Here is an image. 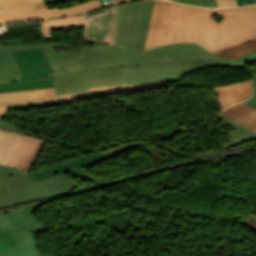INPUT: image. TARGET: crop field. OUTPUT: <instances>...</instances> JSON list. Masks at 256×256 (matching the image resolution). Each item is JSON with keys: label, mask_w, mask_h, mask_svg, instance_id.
Listing matches in <instances>:
<instances>
[{"label": "crop field", "mask_w": 256, "mask_h": 256, "mask_svg": "<svg viewBox=\"0 0 256 256\" xmlns=\"http://www.w3.org/2000/svg\"><path fill=\"white\" fill-rule=\"evenodd\" d=\"M182 42L233 59L256 51V5L206 9L155 0L145 50Z\"/></svg>", "instance_id": "1"}, {"label": "crop field", "mask_w": 256, "mask_h": 256, "mask_svg": "<svg viewBox=\"0 0 256 256\" xmlns=\"http://www.w3.org/2000/svg\"><path fill=\"white\" fill-rule=\"evenodd\" d=\"M87 71L75 72L52 80L57 94L86 91L88 87L127 83L126 66H136L150 59L208 53L195 43H182L152 50H136L95 43L80 47Z\"/></svg>", "instance_id": "2"}, {"label": "crop field", "mask_w": 256, "mask_h": 256, "mask_svg": "<svg viewBox=\"0 0 256 256\" xmlns=\"http://www.w3.org/2000/svg\"><path fill=\"white\" fill-rule=\"evenodd\" d=\"M72 191L59 176L33 182L17 169L0 165V208L11 207Z\"/></svg>", "instance_id": "3"}, {"label": "crop field", "mask_w": 256, "mask_h": 256, "mask_svg": "<svg viewBox=\"0 0 256 256\" xmlns=\"http://www.w3.org/2000/svg\"><path fill=\"white\" fill-rule=\"evenodd\" d=\"M66 46L64 43H35L12 46L0 45V60L8 78L21 76L11 51L41 48L52 72L50 76L57 77L75 71L85 70L80 49L58 51L54 47Z\"/></svg>", "instance_id": "4"}, {"label": "crop field", "mask_w": 256, "mask_h": 256, "mask_svg": "<svg viewBox=\"0 0 256 256\" xmlns=\"http://www.w3.org/2000/svg\"><path fill=\"white\" fill-rule=\"evenodd\" d=\"M154 0L119 5L115 45L144 50Z\"/></svg>", "instance_id": "5"}, {"label": "crop field", "mask_w": 256, "mask_h": 256, "mask_svg": "<svg viewBox=\"0 0 256 256\" xmlns=\"http://www.w3.org/2000/svg\"><path fill=\"white\" fill-rule=\"evenodd\" d=\"M41 205L0 216V229L11 234L19 243L0 256H41L36 234L47 230L31 214Z\"/></svg>", "instance_id": "6"}, {"label": "crop field", "mask_w": 256, "mask_h": 256, "mask_svg": "<svg viewBox=\"0 0 256 256\" xmlns=\"http://www.w3.org/2000/svg\"><path fill=\"white\" fill-rule=\"evenodd\" d=\"M198 69L200 66L196 55L155 59L136 67H127L128 83L167 80L172 84Z\"/></svg>", "instance_id": "7"}, {"label": "crop field", "mask_w": 256, "mask_h": 256, "mask_svg": "<svg viewBox=\"0 0 256 256\" xmlns=\"http://www.w3.org/2000/svg\"><path fill=\"white\" fill-rule=\"evenodd\" d=\"M23 75L9 79L10 84H0V92L20 91L53 87L48 72H51L40 49L13 52Z\"/></svg>", "instance_id": "8"}, {"label": "crop field", "mask_w": 256, "mask_h": 256, "mask_svg": "<svg viewBox=\"0 0 256 256\" xmlns=\"http://www.w3.org/2000/svg\"><path fill=\"white\" fill-rule=\"evenodd\" d=\"M118 5L86 14L84 39L114 45Z\"/></svg>", "instance_id": "9"}, {"label": "crop field", "mask_w": 256, "mask_h": 256, "mask_svg": "<svg viewBox=\"0 0 256 256\" xmlns=\"http://www.w3.org/2000/svg\"><path fill=\"white\" fill-rule=\"evenodd\" d=\"M106 158L103 157L99 152L93 153L87 156H80L78 158L72 159L65 163L44 169L38 170L34 172L28 173L30 179L34 181H39L42 179L49 178L55 174L63 173L69 170L72 174L80 177L81 179L93 181V182H100L96 180L91 174H89L84 167L90 166L94 163H99Z\"/></svg>", "instance_id": "10"}, {"label": "crop field", "mask_w": 256, "mask_h": 256, "mask_svg": "<svg viewBox=\"0 0 256 256\" xmlns=\"http://www.w3.org/2000/svg\"><path fill=\"white\" fill-rule=\"evenodd\" d=\"M103 7L99 0H93L90 2H86L77 6H73L67 9H41V10H33L30 11L28 6L12 8L5 10L10 14L17 15L21 18H25L27 21H36L43 19H51L62 16H69L84 13L87 11H91L95 8Z\"/></svg>", "instance_id": "11"}, {"label": "crop field", "mask_w": 256, "mask_h": 256, "mask_svg": "<svg viewBox=\"0 0 256 256\" xmlns=\"http://www.w3.org/2000/svg\"><path fill=\"white\" fill-rule=\"evenodd\" d=\"M58 99L54 88L0 93V117L6 115L7 111L5 106L7 105L36 103Z\"/></svg>", "instance_id": "12"}, {"label": "crop field", "mask_w": 256, "mask_h": 256, "mask_svg": "<svg viewBox=\"0 0 256 256\" xmlns=\"http://www.w3.org/2000/svg\"><path fill=\"white\" fill-rule=\"evenodd\" d=\"M43 141L42 139L23 135L7 165L29 172L36 160Z\"/></svg>", "instance_id": "13"}, {"label": "crop field", "mask_w": 256, "mask_h": 256, "mask_svg": "<svg viewBox=\"0 0 256 256\" xmlns=\"http://www.w3.org/2000/svg\"><path fill=\"white\" fill-rule=\"evenodd\" d=\"M167 85L166 81L163 82H155V83H146V84H132V85H123V86H107V87H95L89 88L90 91L86 92H78V93H71V94H63L59 95L61 103H67L87 97L93 96H101V95H108L113 93H120V92H128L134 90H141V89H148L154 87H160Z\"/></svg>", "instance_id": "14"}, {"label": "crop field", "mask_w": 256, "mask_h": 256, "mask_svg": "<svg viewBox=\"0 0 256 256\" xmlns=\"http://www.w3.org/2000/svg\"><path fill=\"white\" fill-rule=\"evenodd\" d=\"M247 104L242 101L220 112L256 133V110Z\"/></svg>", "instance_id": "15"}, {"label": "crop field", "mask_w": 256, "mask_h": 256, "mask_svg": "<svg viewBox=\"0 0 256 256\" xmlns=\"http://www.w3.org/2000/svg\"><path fill=\"white\" fill-rule=\"evenodd\" d=\"M201 68L208 66H222V67H242L246 63L256 61V52L250 53L238 60L218 57L209 54L197 55Z\"/></svg>", "instance_id": "16"}, {"label": "crop field", "mask_w": 256, "mask_h": 256, "mask_svg": "<svg viewBox=\"0 0 256 256\" xmlns=\"http://www.w3.org/2000/svg\"><path fill=\"white\" fill-rule=\"evenodd\" d=\"M85 14L50 21H41L42 34L52 36L51 29H71L84 26Z\"/></svg>", "instance_id": "17"}, {"label": "crop field", "mask_w": 256, "mask_h": 256, "mask_svg": "<svg viewBox=\"0 0 256 256\" xmlns=\"http://www.w3.org/2000/svg\"><path fill=\"white\" fill-rule=\"evenodd\" d=\"M216 116L223 121L222 126H225L228 124L235 129L234 131H231L229 133V137L231 138V141H229L226 144V147L230 146L232 144L256 139L255 133H253L252 131L248 130L247 128L241 126L240 124L234 122L233 120L229 119L228 117L224 116L223 114L217 112Z\"/></svg>", "instance_id": "18"}, {"label": "crop field", "mask_w": 256, "mask_h": 256, "mask_svg": "<svg viewBox=\"0 0 256 256\" xmlns=\"http://www.w3.org/2000/svg\"><path fill=\"white\" fill-rule=\"evenodd\" d=\"M22 135L0 130V164L6 165Z\"/></svg>", "instance_id": "19"}, {"label": "crop field", "mask_w": 256, "mask_h": 256, "mask_svg": "<svg viewBox=\"0 0 256 256\" xmlns=\"http://www.w3.org/2000/svg\"><path fill=\"white\" fill-rule=\"evenodd\" d=\"M29 5L30 9L47 8L44 0H0V7L3 9Z\"/></svg>", "instance_id": "20"}, {"label": "crop field", "mask_w": 256, "mask_h": 256, "mask_svg": "<svg viewBox=\"0 0 256 256\" xmlns=\"http://www.w3.org/2000/svg\"><path fill=\"white\" fill-rule=\"evenodd\" d=\"M232 86H233L237 103L252 96V91H253L252 80L240 82Z\"/></svg>", "instance_id": "21"}, {"label": "crop field", "mask_w": 256, "mask_h": 256, "mask_svg": "<svg viewBox=\"0 0 256 256\" xmlns=\"http://www.w3.org/2000/svg\"><path fill=\"white\" fill-rule=\"evenodd\" d=\"M215 89L218 94L222 109L236 103L231 85Z\"/></svg>", "instance_id": "22"}, {"label": "crop field", "mask_w": 256, "mask_h": 256, "mask_svg": "<svg viewBox=\"0 0 256 256\" xmlns=\"http://www.w3.org/2000/svg\"><path fill=\"white\" fill-rule=\"evenodd\" d=\"M18 243L12 236L0 230V254Z\"/></svg>", "instance_id": "23"}, {"label": "crop field", "mask_w": 256, "mask_h": 256, "mask_svg": "<svg viewBox=\"0 0 256 256\" xmlns=\"http://www.w3.org/2000/svg\"><path fill=\"white\" fill-rule=\"evenodd\" d=\"M171 1L186 3L190 5H195V6L211 7V8H214L215 6H217L216 0H171Z\"/></svg>", "instance_id": "24"}, {"label": "crop field", "mask_w": 256, "mask_h": 256, "mask_svg": "<svg viewBox=\"0 0 256 256\" xmlns=\"http://www.w3.org/2000/svg\"><path fill=\"white\" fill-rule=\"evenodd\" d=\"M139 144L135 143V144H131V145H126V146H120V147H115V148H111L109 150L106 151H102L100 152L102 155H104L107 159L115 156L123 151H127L130 148H134L137 147Z\"/></svg>", "instance_id": "25"}, {"label": "crop field", "mask_w": 256, "mask_h": 256, "mask_svg": "<svg viewBox=\"0 0 256 256\" xmlns=\"http://www.w3.org/2000/svg\"><path fill=\"white\" fill-rule=\"evenodd\" d=\"M19 22H25V20L9 15L7 13H4L0 9V24H12V23H19Z\"/></svg>", "instance_id": "26"}, {"label": "crop field", "mask_w": 256, "mask_h": 256, "mask_svg": "<svg viewBox=\"0 0 256 256\" xmlns=\"http://www.w3.org/2000/svg\"><path fill=\"white\" fill-rule=\"evenodd\" d=\"M55 104H60V102L59 101H50V102H43V103H37V104L8 106L7 110L40 107V106H48V105H55Z\"/></svg>", "instance_id": "27"}, {"label": "crop field", "mask_w": 256, "mask_h": 256, "mask_svg": "<svg viewBox=\"0 0 256 256\" xmlns=\"http://www.w3.org/2000/svg\"><path fill=\"white\" fill-rule=\"evenodd\" d=\"M253 82H254V88H255L254 96L252 98L248 99L246 101V103H248L252 107L256 108V74L254 71H253Z\"/></svg>", "instance_id": "28"}, {"label": "crop field", "mask_w": 256, "mask_h": 256, "mask_svg": "<svg viewBox=\"0 0 256 256\" xmlns=\"http://www.w3.org/2000/svg\"><path fill=\"white\" fill-rule=\"evenodd\" d=\"M219 7L238 6L236 0H217Z\"/></svg>", "instance_id": "29"}, {"label": "crop field", "mask_w": 256, "mask_h": 256, "mask_svg": "<svg viewBox=\"0 0 256 256\" xmlns=\"http://www.w3.org/2000/svg\"><path fill=\"white\" fill-rule=\"evenodd\" d=\"M0 83H9L7 80V75L1 65V62H0Z\"/></svg>", "instance_id": "30"}, {"label": "crop field", "mask_w": 256, "mask_h": 256, "mask_svg": "<svg viewBox=\"0 0 256 256\" xmlns=\"http://www.w3.org/2000/svg\"><path fill=\"white\" fill-rule=\"evenodd\" d=\"M238 5L240 6V4L243 5H249V4H255L256 0H237Z\"/></svg>", "instance_id": "31"}, {"label": "crop field", "mask_w": 256, "mask_h": 256, "mask_svg": "<svg viewBox=\"0 0 256 256\" xmlns=\"http://www.w3.org/2000/svg\"><path fill=\"white\" fill-rule=\"evenodd\" d=\"M0 126L1 127H5V128H9V129H15L16 128V126H13V125H11L9 123H5L3 121H0Z\"/></svg>", "instance_id": "32"}, {"label": "crop field", "mask_w": 256, "mask_h": 256, "mask_svg": "<svg viewBox=\"0 0 256 256\" xmlns=\"http://www.w3.org/2000/svg\"><path fill=\"white\" fill-rule=\"evenodd\" d=\"M103 6L112 5L114 4L113 0H100Z\"/></svg>", "instance_id": "33"}, {"label": "crop field", "mask_w": 256, "mask_h": 256, "mask_svg": "<svg viewBox=\"0 0 256 256\" xmlns=\"http://www.w3.org/2000/svg\"><path fill=\"white\" fill-rule=\"evenodd\" d=\"M116 3H122V2H126V1H131V0H114Z\"/></svg>", "instance_id": "34"}, {"label": "crop field", "mask_w": 256, "mask_h": 256, "mask_svg": "<svg viewBox=\"0 0 256 256\" xmlns=\"http://www.w3.org/2000/svg\"><path fill=\"white\" fill-rule=\"evenodd\" d=\"M56 1H59V0H45L46 4L56 2Z\"/></svg>", "instance_id": "35"}]
</instances>
